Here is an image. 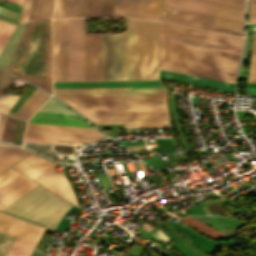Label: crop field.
I'll return each mask as SVG.
<instances>
[{
	"label": "crop field",
	"mask_w": 256,
	"mask_h": 256,
	"mask_svg": "<svg viewBox=\"0 0 256 256\" xmlns=\"http://www.w3.org/2000/svg\"><path fill=\"white\" fill-rule=\"evenodd\" d=\"M238 55L160 40V69L235 83Z\"/></svg>",
	"instance_id": "8a807250"
},
{
	"label": "crop field",
	"mask_w": 256,
	"mask_h": 256,
	"mask_svg": "<svg viewBox=\"0 0 256 256\" xmlns=\"http://www.w3.org/2000/svg\"><path fill=\"white\" fill-rule=\"evenodd\" d=\"M7 70L51 92V20L27 25Z\"/></svg>",
	"instance_id": "ac0d7876"
},
{
	"label": "crop field",
	"mask_w": 256,
	"mask_h": 256,
	"mask_svg": "<svg viewBox=\"0 0 256 256\" xmlns=\"http://www.w3.org/2000/svg\"><path fill=\"white\" fill-rule=\"evenodd\" d=\"M167 93L56 95L84 116L168 115Z\"/></svg>",
	"instance_id": "34b2d1b8"
},
{
	"label": "crop field",
	"mask_w": 256,
	"mask_h": 256,
	"mask_svg": "<svg viewBox=\"0 0 256 256\" xmlns=\"http://www.w3.org/2000/svg\"><path fill=\"white\" fill-rule=\"evenodd\" d=\"M45 190L37 185L3 211L55 229L72 204Z\"/></svg>",
	"instance_id": "412701ff"
},
{
	"label": "crop field",
	"mask_w": 256,
	"mask_h": 256,
	"mask_svg": "<svg viewBox=\"0 0 256 256\" xmlns=\"http://www.w3.org/2000/svg\"><path fill=\"white\" fill-rule=\"evenodd\" d=\"M45 228L0 212V232L37 244ZM0 233V256H4L14 237ZM16 238L6 256H29L35 244Z\"/></svg>",
	"instance_id": "f4fd0767"
},
{
	"label": "crop field",
	"mask_w": 256,
	"mask_h": 256,
	"mask_svg": "<svg viewBox=\"0 0 256 256\" xmlns=\"http://www.w3.org/2000/svg\"><path fill=\"white\" fill-rule=\"evenodd\" d=\"M137 79H158V22L137 19Z\"/></svg>",
	"instance_id": "dd49c442"
},
{
	"label": "crop field",
	"mask_w": 256,
	"mask_h": 256,
	"mask_svg": "<svg viewBox=\"0 0 256 256\" xmlns=\"http://www.w3.org/2000/svg\"><path fill=\"white\" fill-rule=\"evenodd\" d=\"M160 20L243 36L244 22L163 6Z\"/></svg>",
	"instance_id": "e52e79f7"
},
{
	"label": "crop field",
	"mask_w": 256,
	"mask_h": 256,
	"mask_svg": "<svg viewBox=\"0 0 256 256\" xmlns=\"http://www.w3.org/2000/svg\"><path fill=\"white\" fill-rule=\"evenodd\" d=\"M102 80H127L126 34H101Z\"/></svg>",
	"instance_id": "d8731c3e"
},
{
	"label": "crop field",
	"mask_w": 256,
	"mask_h": 256,
	"mask_svg": "<svg viewBox=\"0 0 256 256\" xmlns=\"http://www.w3.org/2000/svg\"><path fill=\"white\" fill-rule=\"evenodd\" d=\"M84 80V19H67V81Z\"/></svg>",
	"instance_id": "5a996713"
},
{
	"label": "crop field",
	"mask_w": 256,
	"mask_h": 256,
	"mask_svg": "<svg viewBox=\"0 0 256 256\" xmlns=\"http://www.w3.org/2000/svg\"><path fill=\"white\" fill-rule=\"evenodd\" d=\"M55 165L56 162L48 161L31 153L13 166L12 169L48 189L64 177L56 173Z\"/></svg>",
	"instance_id": "3316defc"
},
{
	"label": "crop field",
	"mask_w": 256,
	"mask_h": 256,
	"mask_svg": "<svg viewBox=\"0 0 256 256\" xmlns=\"http://www.w3.org/2000/svg\"><path fill=\"white\" fill-rule=\"evenodd\" d=\"M160 32L242 48L243 38L160 22Z\"/></svg>",
	"instance_id": "28ad6ade"
},
{
	"label": "crop field",
	"mask_w": 256,
	"mask_h": 256,
	"mask_svg": "<svg viewBox=\"0 0 256 256\" xmlns=\"http://www.w3.org/2000/svg\"><path fill=\"white\" fill-rule=\"evenodd\" d=\"M35 183L9 169L0 175V210L8 206L28 190Z\"/></svg>",
	"instance_id": "d1516ede"
},
{
	"label": "crop field",
	"mask_w": 256,
	"mask_h": 256,
	"mask_svg": "<svg viewBox=\"0 0 256 256\" xmlns=\"http://www.w3.org/2000/svg\"><path fill=\"white\" fill-rule=\"evenodd\" d=\"M96 125L121 124L126 128H169L168 116L86 117Z\"/></svg>",
	"instance_id": "22f410ed"
},
{
	"label": "crop field",
	"mask_w": 256,
	"mask_h": 256,
	"mask_svg": "<svg viewBox=\"0 0 256 256\" xmlns=\"http://www.w3.org/2000/svg\"><path fill=\"white\" fill-rule=\"evenodd\" d=\"M54 81H66V19H53Z\"/></svg>",
	"instance_id": "cbeb9de0"
},
{
	"label": "crop field",
	"mask_w": 256,
	"mask_h": 256,
	"mask_svg": "<svg viewBox=\"0 0 256 256\" xmlns=\"http://www.w3.org/2000/svg\"><path fill=\"white\" fill-rule=\"evenodd\" d=\"M85 80H101L100 34H85Z\"/></svg>",
	"instance_id": "5142ce71"
},
{
	"label": "crop field",
	"mask_w": 256,
	"mask_h": 256,
	"mask_svg": "<svg viewBox=\"0 0 256 256\" xmlns=\"http://www.w3.org/2000/svg\"><path fill=\"white\" fill-rule=\"evenodd\" d=\"M160 78L202 86V87H207V88H212V89H217V90H222V91H227V92H232V93H234V88H235V84L233 83L216 81V80H211L206 78H200V77L178 74V73H173L168 71H162V70H160Z\"/></svg>",
	"instance_id": "d9b57169"
},
{
	"label": "crop field",
	"mask_w": 256,
	"mask_h": 256,
	"mask_svg": "<svg viewBox=\"0 0 256 256\" xmlns=\"http://www.w3.org/2000/svg\"><path fill=\"white\" fill-rule=\"evenodd\" d=\"M169 92L165 87L54 89V94Z\"/></svg>",
	"instance_id": "733c2abd"
},
{
	"label": "crop field",
	"mask_w": 256,
	"mask_h": 256,
	"mask_svg": "<svg viewBox=\"0 0 256 256\" xmlns=\"http://www.w3.org/2000/svg\"><path fill=\"white\" fill-rule=\"evenodd\" d=\"M24 136L45 137V138H53V139L75 140V141H86V142H93L105 137L103 135H96V134L70 133V132L32 130V129H26Z\"/></svg>",
	"instance_id": "4a817a6b"
},
{
	"label": "crop field",
	"mask_w": 256,
	"mask_h": 256,
	"mask_svg": "<svg viewBox=\"0 0 256 256\" xmlns=\"http://www.w3.org/2000/svg\"><path fill=\"white\" fill-rule=\"evenodd\" d=\"M163 86L160 81L54 83V88Z\"/></svg>",
	"instance_id": "bc2a9ffb"
},
{
	"label": "crop field",
	"mask_w": 256,
	"mask_h": 256,
	"mask_svg": "<svg viewBox=\"0 0 256 256\" xmlns=\"http://www.w3.org/2000/svg\"><path fill=\"white\" fill-rule=\"evenodd\" d=\"M146 0H115L112 16L143 18Z\"/></svg>",
	"instance_id": "214f88e0"
},
{
	"label": "crop field",
	"mask_w": 256,
	"mask_h": 256,
	"mask_svg": "<svg viewBox=\"0 0 256 256\" xmlns=\"http://www.w3.org/2000/svg\"><path fill=\"white\" fill-rule=\"evenodd\" d=\"M79 118L70 115L36 113L29 122L91 127Z\"/></svg>",
	"instance_id": "92a150f3"
},
{
	"label": "crop field",
	"mask_w": 256,
	"mask_h": 256,
	"mask_svg": "<svg viewBox=\"0 0 256 256\" xmlns=\"http://www.w3.org/2000/svg\"><path fill=\"white\" fill-rule=\"evenodd\" d=\"M160 39L240 55L241 49L160 33Z\"/></svg>",
	"instance_id": "dafd665d"
},
{
	"label": "crop field",
	"mask_w": 256,
	"mask_h": 256,
	"mask_svg": "<svg viewBox=\"0 0 256 256\" xmlns=\"http://www.w3.org/2000/svg\"><path fill=\"white\" fill-rule=\"evenodd\" d=\"M28 153L30 152L25 149L0 143V173L19 161Z\"/></svg>",
	"instance_id": "00972430"
},
{
	"label": "crop field",
	"mask_w": 256,
	"mask_h": 256,
	"mask_svg": "<svg viewBox=\"0 0 256 256\" xmlns=\"http://www.w3.org/2000/svg\"><path fill=\"white\" fill-rule=\"evenodd\" d=\"M128 80L136 79V21L127 20Z\"/></svg>",
	"instance_id": "a9b5d70f"
},
{
	"label": "crop field",
	"mask_w": 256,
	"mask_h": 256,
	"mask_svg": "<svg viewBox=\"0 0 256 256\" xmlns=\"http://www.w3.org/2000/svg\"><path fill=\"white\" fill-rule=\"evenodd\" d=\"M53 4L54 0H32L27 23L51 18Z\"/></svg>",
	"instance_id": "4177f3b9"
},
{
	"label": "crop field",
	"mask_w": 256,
	"mask_h": 256,
	"mask_svg": "<svg viewBox=\"0 0 256 256\" xmlns=\"http://www.w3.org/2000/svg\"><path fill=\"white\" fill-rule=\"evenodd\" d=\"M47 96H49V95L46 94L45 92L37 89L34 92V94L26 101V103L18 110V112L15 114V116L20 117V118L26 120L31 115V113L42 103V101Z\"/></svg>",
	"instance_id": "730fd06b"
},
{
	"label": "crop field",
	"mask_w": 256,
	"mask_h": 256,
	"mask_svg": "<svg viewBox=\"0 0 256 256\" xmlns=\"http://www.w3.org/2000/svg\"><path fill=\"white\" fill-rule=\"evenodd\" d=\"M26 25L27 24L18 26L13 36L11 37L10 41L8 42L6 48L4 49L3 53L0 56L1 67L5 69L7 68Z\"/></svg>",
	"instance_id": "eef30255"
},
{
	"label": "crop field",
	"mask_w": 256,
	"mask_h": 256,
	"mask_svg": "<svg viewBox=\"0 0 256 256\" xmlns=\"http://www.w3.org/2000/svg\"><path fill=\"white\" fill-rule=\"evenodd\" d=\"M26 128L101 134L94 128L28 123Z\"/></svg>",
	"instance_id": "ae1a2a85"
},
{
	"label": "crop field",
	"mask_w": 256,
	"mask_h": 256,
	"mask_svg": "<svg viewBox=\"0 0 256 256\" xmlns=\"http://www.w3.org/2000/svg\"><path fill=\"white\" fill-rule=\"evenodd\" d=\"M77 0H56L53 17H74Z\"/></svg>",
	"instance_id": "d3111659"
},
{
	"label": "crop field",
	"mask_w": 256,
	"mask_h": 256,
	"mask_svg": "<svg viewBox=\"0 0 256 256\" xmlns=\"http://www.w3.org/2000/svg\"><path fill=\"white\" fill-rule=\"evenodd\" d=\"M179 219H181L182 221L187 223L189 226H191L192 228H194L202 233H205V234H208V235H211L214 237H218V238H220L222 235V232H219V231L213 229L212 227L201 223L200 221H198L197 219H195L192 216H187V217H183V218H179Z\"/></svg>",
	"instance_id": "750c4746"
},
{
	"label": "crop field",
	"mask_w": 256,
	"mask_h": 256,
	"mask_svg": "<svg viewBox=\"0 0 256 256\" xmlns=\"http://www.w3.org/2000/svg\"><path fill=\"white\" fill-rule=\"evenodd\" d=\"M38 112L76 115L52 97L47 100V102L42 106V108Z\"/></svg>",
	"instance_id": "bd1437ed"
},
{
	"label": "crop field",
	"mask_w": 256,
	"mask_h": 256,
	"mask_svg": "<svg viewBox=\"0 0 256 256\" xmlns=\"http://www.w3.org/2000/svg\"><path fill=\"white\" fill-rule=\"evenodd\" d=\"M161 1L162 0H147L144 18L158 20Z\"/></svg>",
	"instance_id": "1d83c4d3"
},
{
	"label": "crop field",
	"mask_w": 256,
	"mask_h": 256,
	"mask_svg": "<svg viewBox=\"0 0 256 256\" xmlns=\"http://www.w3.org/2000/svg\"><path fill=\"white\" fill-rule=\"evenodd\" d=\"M15 27L16 26L13 24L5 23L0 20V51L14 31Z\"/></svg>",
	"instance_id": "120bbe31"
},
{
	"label": "crop field",
	"mask_w": 256,
	"mask_h": 256,
	"mask_svg": "<svg viewBox=\"0 0 256 256\" xmlns=\"http://www.w3.org/2000/svg\"><path fill=\"white\" fill-rule=\"evenodd\" d=\"M18 95H5L0 97V111L7 113L19 100Z\"/></svg>",
	"instance_id": "d32e631a"
},
{
	"label": "crop field",
	"mask_w": 256,
	"mask_h": 256,
	"mask_svg": "<svg viewBox=\"0 0 256 256\" xmlns=\"http://www.w3.org/2000/svg\"><path fill=\"white\" fill-rule=\"evenodd\" d=\"M104 0H89L86 17L101 16Z\"/></svg>",
	"instance_id": "5866460e"
},
{
	"label": "crop field",
	"mask_w": 256,
	"mask_h": 256,
	"mask_svg": "<svg viewBox=\"0 0 256 256\" xmlns=\"http://www.w3.org/2000/svg\"><path fill=\"white\" fill-rule=\"evenodd\" d=\"M16 121H17L16 118H12L8 116L2 140L8 141V142L12 141Z\"/></svg>",
	"instance_id": "028f5c9d"
},
{
	"label": "crop field",
	"mask_w": 256,
	"mask_h": 256,
	"mask_svg": "<svg viewBox=\"0 0 256 256\" xmlns=\"http://www.w3.org/2000/svg\"><path fill=\"white\" fill-rule=\"evenodd\" d=\"M25 122L18 119L12 143L20 145Z\"/></svg>",
	"instance_id": "e1f06a70"
},
{
	"label": "crop field",
	"mask_w": 256,
	"mask_h": 256,
	"mask_svg": "<svg viewBox=\"0 0 256 256\" xmlns=\"http://www.w3.org/2000/svg\"><path fill=\"white\" fill-rule=\"evenodd\" d=\"M187 1H192V2H197V3H202V4H207V5H212V6H217V7H222V8H227V9H232V10H237V11L244 12V8L237 7V6H231V5H226V4L216 3V2H210V1H205V0H187Z\"/></svg>",
	"instance_id": "0bd39190"
},
{
	"label": "crop field",
	"mask_w": 256,
	"mask_h": 256,
	"mask_svg": "<svg viewBox=\"0 0 256 256\" xmlns=\"http://www.w3.org/2000/svg\"><path fill=\"white\" fill-rule=\"evenodd\" d=\"M87 5H88V0H78L75 17H85Z\"/></svg>",
	"instance_id": "b80d0937"
},
{
	"label": "crop field",
	"mask_w": 256,
	"mask_h": 256,
	"mask_svg": "<svg viewBox=\"0 0 256 256\" xmlns=\"http://www.w3.org/2000/svg\"><path fill=\"white\" fill-rule=\"evenodd\" d=\"M248 82H256V54H252Z\"/></svg>",
	"instance_id": "c035e120"
},
{
	"label": "crop field",
	"mask_w": 256,
	"mask_h": 256,
	"mask_svg": "<svg viewBox=\"0 0 256 256\" xmlns=\"http://www.w3.org/2000/svg\"><path fill=\"white\" fill-rule=\"evenodd\" d=\"M30 2L31 0H24L19 24L26 23Z\"/></svg>",
	"instance_id": "c21b1889"
},
{
	"label": "crop field",
	"mask_w": 256,
	"mask_h": 256,
	"mask_svg": "<svg viewBox=\"0 0 256 256\" xmlns=\"http://www.w3.org/2000/svg\"><path fill=\"white\" fill-rule=\"evenodd\" d=\"M16 77L6 74L5 77L0 81V95L2 92L11 84Z\"/></svg>",
	"instance_id": "03da06ac"
},
{
	"label": "crop field",
	"mask_w": 256,
	"mask_h": 256,
	"mask_svg": "<svg viewBox=\"0 0 256 256\" xmlns=\"http://www.w3.org/2000/svg\"><path fill=\"white\" fill-rule=\"evenodd\" d=\"M249 22H256V0H250Z\"/></svg>",
	"instance_id": "b54c1fbb"
},
{
	"label": "crop field",
	"mask_w": 256,
	"mask_h": 256,
	"mask_svg": "<svg viewBox=\"0 0 256 256\" xmlns=\"http://www.w3.org/2000/svg\"><path fill=\"white\" fill-rule=\"evenodd\" d=\"M0 14L11 17V18H14V19H17V20H18V17H19L18 13L7 10V9L1 7V6H0Z\"/></svg>",
	"instance_id": "5d738f31"
},
{
	"label": "crop field",
	"mask_w": 256,
	"mask_h": 256,
	"mask_svg": "<svg viewBox=\"0 0 256 256\" xmlns=\"http://www.w3.org/2000/svg\"><path fill=\"white\" fill-rule=\"evenodd\" d=\"M155 237H157L159 240H161L163 243L167 244L168 242L172 241L171 239H169L165 234H163L160 230H157L153 233Z\"/></svg>",
	"instance_id": "d23c7cc5"
},
{
	"label": "crop field",
	"mask_w": 256,
	"mask_h": 256,
	"mask_svg": "<svg viewBox=\"0 0 256 256\" xmlns=\"http://www.w3.org/2000/svg\"><path fill=\"white\" fill-rule=\"evenodd\" d=\"M6 115L0 114V140L2 138L5 122H6Z\"/></svg>",
	"instance_id": "425ffa30"
},
{
	"label": "crop field",
	"mask_w": 256,
	"mask_h": 256,
	"mask_svg": "<svg viewBox=\"0 0 256 256\" xmlns=\"http://www.w3.org/2000/svg\"><path fill=\"white\" fill-rule=\"evenodd\" d=\"M128 148L130 151L135 152V151H140V150H144L146 149L144 145H139V146H129L126 147Z\"/></svg>",
	"instance_id": "25e5ab78"
},
{
	"label": "crop field",
	"mask_w": 256,
	"mask_h": 256,
	"mask_svg": "<svg viewBox=\"0 0 256 256\" xmlns=\"http://www.w3.org/2000/svg\"><path fill=\"white\" fill-rule=\"evenodd\" d=\"M24 140L51 142L52 139H41V138H29V137H25Z\"/></svg>",
	"instance_id": "73cf0c24"
},
{
	"label": "crop field",
	"mask_w": 256,
	"mask_h": 256,
	"mask_svg": "<svg viewBox=\"0 0 256 256\" xmlns=\"http://www.w3.org/2000/svg\"><path fill=\"white\" fill-rule=\"evenodd\" d=\"M1 1L18 4V5H21V2H22V0H1Z\"/></svg>",
	"instance_id": "89e229c0"
},
{
	"label": "crop field",
	"mask_w": 256,
	"mask_h": 256,
	"mask_svg": "<svg viewBox=\"0 0 256 256\" xmlns=\"http://www.w3.org/2000/svg\"><path fill=\"white\" fill-rule=\"evenodd\" d=\"M250 33H256V24H249Z\"/></svg>",
	"instance_id": "1f2cbd36"
},
{
	"label": "crop field",
	"mask_w": 256,
	"mask_h": 256,
	"mask_svg": "<svg viewBox=\"0 0 256 256\" xmlns=\"http://www.w3.org/2000/svg\"><path fill=\"white\" fill-rule=\"evenodd\" d=\"M254 36V42H253V50L252 53H256V34H252Z\"/></svg>",
	"instance_id": "dbb93151"
},
{
	"label": "crop field",
	"mask_w": 256,
	"mask_h": 256,
	"mask_svg": "<svg viewBox=\"0 0 256 256\" xmlns=\"http://www.w3.org/2000/svg\"><path fill=\"white\" fill-rule=\"evenodd\" d=\"M138 164H139V166L141 167V169H142L143 173H146V171H145V167H144V164H143V163H141V162H138ZM146 174H147V173H146Z\"/></svg>",
	"instance_id": "0fb4a251"
},
{
	"label": "crop field",
	"mask_w": 256,
	"mask_h": 256,
	"mask_svg": "<svg viewBox=\"0 0 256 256\" xmlns=\"http://www.w3.org/2000/svg\"><path fill=\"white\" fill-rule=\"evenodd\" d=\"M125 256H131V255L126 254Z\"/></svg>",
	"instance_id": "1d79db26"
}]
</instances>
